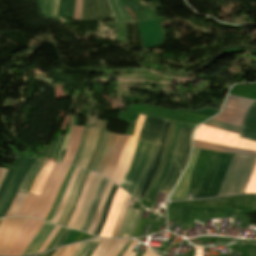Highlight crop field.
I'll return each instance as SVG.
<instances>
[{
  "label": "crop field",
  "instance_id": "crop-field-3",
  "mask_svg": "<svg viewBox=\"0 0 256 256\" xmlns=\"http://www.w3.org/2000/svg\"><path fill=\"white\" fill-rule=\"evenodd\" d=\"M170 122L171 121L148 117V116H146L145 118L144 125L142 127V131L138 140L148 141L152 143H159V147H158L156 159L154 161L153 169L138 195L141 198H143L145 191L157 170L163 144L165 141V137H166Z\"/></svg>",
  "mask_w": 256,
  "mask_h": 256
},
{
  "label": "crop field",
  "instance_id": "crop-field-23",
  "mask_svg": "<svg viewBox=\"0 0 256 256\" xmlns=\"http://www.w3.org/2000/svg\"><path fill=\"white\" fill-rule=\"evenodd\" d=\"M78 171H79V169L76 168L74 173H73V175H72V177H71V179H70V181H69V184H68V186H67V188L65 190L64 197H63V199L61 201V204H60V206H59V208H58V210H57V212H56V214H55V216H54V218L52 220V223H54V224L56 223L57 219L59 218V216L61 214V211H62V209H63V207L65 205L66 199L68 197V194L70 192V189H71V187L73 185V182L75 180V177H76Z\"/></svg>",
  "mask_w": 256,
  "mask_h": 256
},
{
  "label": "crop field",
  "instance_id": "crop-field-14",
  "mask_svg": "<svg viewBox=\"0 0 256 256\" xmlns=\"http://www.w3.org/2000/svg\"><path fill=\"white\" fill-rule=\"evenodd\" d=\"M54 228V225H50L45 223L39 233L35 236L33 241L30 243L28 248L26 249L24 255L37 253L38 249L40 248L41 244L44 242V240L47 238L51 230Z\"/></svg>",
  "mask_w": 256,
  "mask_h": 256
},
{
  "label": "crop field",
  "instance_id": "crop-field-12",
  "mask_svg": "<svg viewBox=\"0 0 256 256\" xmlns=\"http://www.w3.org/2000/svg\"><path fill=\"white\" fill-rule=\"evenodd\" d=\"M232 156L233 155H228V154L223 155V158L221 160L218 171H217L214 179L212 180L205 197H211V196H216L217 195V192L220 188V185L222 183V180L224 178V175L226 173V170L228 168V165L230 163V160H231Z\"/></svg>",
  "mask_w": 256,
  "mask_h": 256
},
{
  "label": "crop field",
  "instance_id": "crop-field-52",
  "mask_svg": "<svg viewBox=\"0 0 256 256\" xmlns=\"http://www.w3.org/2000/svg\"><path fill=\"white\" fill-rule=\"evenodd\" d=\"M88 242V241H87ZM87 242L82 243V245L79 247V249L75 252L73 256H78L79 253L83 250V248L86 246Z\"/></svg>",
  "mask_w": 256,
  "mask_h": 256
},
{
  "label": "crop field",
  "instance_id": "crop-field-36",
  "mask_svg": "<svg viewBox=\"0 0 256 256\" xmlns=\"http://www.w3.org/2000/svg\"><path fill=\"white\" fill-rule=\"evenodd\" d=\"M138 210L133 209L122 237H127Z\"/></svg>",
  "mask_w": 256,
  "mask_h": 256
},
{
  "label": "crop field",
  "instance_id": "crop-field-21",
  "mask_svg": "<svg viewBox=\"0 0 256 256\" xmlns=\"http://www.w3.org/2000/svg\"><path fill=\"white\" fill-rule=\"evenodd\" d=\"M75 0H60L57 16L72 18Z\"/></svg>",
  "mask_w": 256,
  "mask_h": 256
},
{
  "label": "crop field",
  "instance_id": "crop-field-55",
  "mask_svg": "<svg viewBox=\"0 0 256 256\" xmlns=\"http://www.w3.org/2000/svg\"><path fill=\"white\" fill-rule=\"evenodd\" d=\"M55 251H56V250H53V251L48 252L47 256H52Z\"/></svg>",
  "mask_w": 256,
  "mask_h": 256
},
{
  "label": "crop field",
  "instance_id": "crop-field-49",
  "mask_svg": "<svg viewBox=\"0 0 256 256\" xmlns=\"http://www.w3.org/2000/svg\"><path fill=\"white\" fill-rule=\"evenodd\" d=\"M94 240L89 241V243L87 244V246L84 248V250L80 253L79 256H84L85 253L87 252V250L90 248V246L93 244Z\"/></svg>",
  "mask_w": 256,
  "mask_h": 256
},
{
  "label": "crop field",
  "instance_id": "crop-field-30",
  "mask_svg": "<svg viewBox=\"0 0 256 256\" xmlns=\"http://www.w3.org/2000/svg\"><path fill=\"white\" fill-rule=\"evenodd\" d=\"M99 17L112 14L107 0H97Z\"/></svg>",
  "mask_w": 256,
  "mask_h": 256
},
{
  "label": "crop field",
  "instance_id": "crop-field-32",
  "mask_svg": "<svg viewBox=\"0 0 256 256\" xmlns=\"http://www.w3.org/2000/svg\"><path fill=\"white\" fill-rule=\"evenodd\" d=\"M87 131H88V129H85V128H84L80 146H79L78 151H77V153H76V156H75V158H74V160H73V162H72V164H71V165H73V166L76 165V163H77V161H78V159H79V157H80V155H81V153H82Z\"/></svg>",
  "mask_w": 256,
  "mask_h": 256
},
{
  "label": "crop field",
  "instance_id": "crop-field-48",
  "mask_svg": "<svg viewBox=\"0 0 256 256\" xmlns=\"http://www.w3.org/2000/svg\"><path fill=\"white\" fill-rule=\"evenodd\" d=\"M105 242H106V240H101L99 245H98V247H97V249L93 252V254L91 256H96Z\"/></svg>",
  "mask_w": 256,
  "mask_h": 256
},
{
  "label": "crop field",
  "instance_id": "crop-field-20",
  "mask_svg": "<svg viewBox=\"0 0 256 256\" xmlns=\"http://www.w3.org/2000/svg\"><path fill=\"white\" fill-rule=\"evenodd\" d=\"M88 174H89V171L86 170V171L84 172L82 178H81V181H80V183H79V185H78V188H77V191H76V193H75L73 202H72V204H71L70 210H69V212H68L66 218L64 219V221H63V223H62V226H65V227L67 226V224H68V222H69V220H70V218H71V216H72V213H73V211H74V208H75V206H76V203H77V201H78L79 195H80V193H81L82 186H83V184H84V182H85V180H86Z\"/></svg>",
  "mask_w": 256,
  "mask_h": 256
},
{
  "label": "crop field",
  "instance_id": "crop-field-27",
  "mask_svg": "<svg viewBox=\"0 0 256 256\" xmlns=\"http://www.w3.org/2000/svg\"><path fill=\"white\" fill-rule=\"evenodd\" d=\"M112 184H113V183L109 180V182H108V184H107V186H106V188H105V192H104V195H103V197H102V200H101L99 209H98V211H97L95 220H94V222L92 223V226H91V228H90V230H89V232H88V233H90V234L93 233V231H94V229H95V227H96V225H97V222H98V219H99V217H100V214H101L103 205H104V203H105L106 197H107V195H108V192H109V190H110Z\"/></svg>",
  "mask_w": 256,
  "mask_h": 256
},
{
  "label": "crop field",
  "instance_id": "crop-field-47",
  "mask_svg": "<svg viewBox=\"0 0 256 256\" xmlns=\"http://www.w3.org/2000/svg\"><path fill=\"white\" fill-rule=\"evenodd\" d=\"M73 170H74V168H73ZM73 170H72V172H73ZM72 172H71V174H72ZM71 174H70V176H71ZM70 176H69V178H70ZM69 178H68V180H69ZM68 180H67V182H68ZM67 182H66V184H65V186H64V188H63V190H62V192H61L60 198H59L58 203H57V205H56V207H55V209H54V211H53V213H52V215H51V217H50V219H49V222L51 221V219H52V217H53V215H54V212H55V210H56V208H57V206H58V204H59V202H60V200H61V197H62L63 192H64V190H65V187H66V185H67Z\"/></svg>",
  "mask_w": 256,
  "mask_h": 256
},
{
  "label": "crop field",
  "instance_id": "crop-field-19",
  "mask_svg": "<svg viewBox=\"0 0 256 256\" xmlns=\"http://www.w3.org/2000/svg\"><path fill=\"white\" fill-rule=\"evenodd\" d=\"M117 188L118 187L116 185H113V187H112V189H111V191H110V193L107 197L106 203L104 205V210H103V213L101 215V220H100V222H99V224H98V226H97V228L94 232V235H96V236H99V234H100V232L103 228V225H104L106 217H107L108 209L110 207L111 200H112L113 195H114Z\"/></svg>",
  "mask_w": 256,
  "mask_h": 256
},
{
  "label": "crop field",
  "instance_id": "crop-field-7",
  "mask_svg": "<svg viewBox=\"0 0 256 256\" xmlns=\"http://www.w3.org/2000/svg\"><path fill=\"white\" fill-rule=\"evenodd\" d=\"M240 138L256 142V104L247 110L240 131Z\"/></svg>",
  "mask_w": 256,
  "mask_h": 256
},
{
  "label": "crop field",
  "instance_id": "crop-field-50",
  "mask_svg": "<svg viewBox=\"0 0 256 256\" xmlns=\"http://www.w3.org/2000/svg\"><path fill=\"white\" fill-rule=\"evenodd\" d=\"M131 242V240H127L124 247L122 248V250L120 251V253L117 256H122V254L124 253V251L127 249L129 243ZM131 244V243H130Z\"/></svg>",
  "mask_w": 256,
  "mask_h": 256
},
{
  "label": "crop field",
  "instance_id": "crop-field-31",
  "mask_svg": "<svg viewBox=\"0 0 256 256\" xmlns=\"http://www.w3.org/2000/svg\"><path fill=\"white\" fill-rule=\"evenodd\" d=\"M109 134H110V133H107V132H106L105 135H104V140H103V144H102V146H101L100 153H99V155H98V157H97V160H96V162H95V164H94V166H93V168H92V171H94V172H96V170H97V168H98V166H99V164H100L101 158H102V156H103V154H104V152H105Z\"/></svg>",
  "mask_w": 256,
  "mask_h": 256
},
{
  "label": "crop field",
  "instance_id": "crop-field-45",
  "mask_svg": "<svg viewBox=\"0 0 256 256\" xmlns=\"http://www.w3.org/2000/svg\"><path fill=\"white\" fill-rule=\"evenodd\" d=\"M112 240H107V242L105 243V245L102 247L101 251L99 252V254L97 256H103L104 253L107 251V249L109 248L110 244H111Z\"/></svg>",
  "mask_w": 256,
  "mask_h": 256
},
{
  "label": "crop field",
  "instance_id": "crop-field-29",
  "mask_svg": "<svg viewBox=\"0 0 256 256\" xmlns=\"http://www.w3.org/2000/svg\"><path fill=\"white\" fill-rule=\"evenodd\" d=\"M204 125H208V126L219 128V129L228 130V131L235 132V133H238V134H239V131H240L239 127H235V126H232V125L220 123V122L213 121V120H210V121L206 122Z\"/></svg>",
  "mask_w": 256,
  "mask_h": 256
},
{
  "label": "crop field",
  "instance_id": "crop-field-9",
  "mask_svg": "<svg viewBox=\"0 0 256 256\" xmlns=\"http://www.w3.org/2000/svg\"><path fill=\"white\" fill-rule=\"evenodd\" d=\"M101 121L97 120V126L96 127H91L88 131L85 146L83 153L81 155V158L77 164L79 167L85 168L86 165L88 164L91 154L93 152V149L95 147L99 127H100Z\"/></svg>",
  "mask_w": 256,
  "mask_h": 256
},
{
  "label": "crop field",
  "instance_id": "crop-field-25",
  "mask_svg": "<svg viewBox=\"0 0 256 256\" xmlns=\"http://www.w3.org/2000/svg\"><path fill=\"white\" fill-rule=\"evenodd\" d=\"M106 123H107V121H103L102 122V125H101V128H100V133H99V138H98L97 144H96V148H95V150H94V152L92 154V158H91V160H90V162H89V164H88V166L86 168L88 170H91V168H92V166H93V164L95 162L96 156H97V154L99 152L100 146L102 144L103 134H104V131L106 129Z\"/></svg>",
  "mask_w": 256,
  "mask_h": 256
},
{
  "label": "crop field",
  "instance_id": "crop-field-42",
  "mask_svg": "<svg viewBox=\"0 0 256 256\" xmlns=\"http://www.w3.org/2000/svg\"><path fill=\"white\" fill-rule=\"evenodd\" d=\"M64 231H65V228L61 227V229L59 230L57 235L54 237V239L51 241V243L48 245L46 250L53 248V246L56 244V242L58 241V239L60 238V236L63 234Z\"/></svg>",
  "mask_w": 256,
  "mask_h": 256
},
{
  "label": "crop field",
  "instance_id": "crop-field-6",
  "mask_svg": "<svg viewBox=\"0 0 256 256\" xmlns=\"http://www.w3.org/2000/svg\"><path fill=\"white\" fill-rule=\"evenodd\" d=\"M191 132L192 129L182 128L175 150L174 158L181 171L188 160L191 146Z\"/></svg>",
  "mask_w": 256,
  "mask_h": 256
},
{
  "label": "crop field",
  "instance_id": "crop-field-40",
  "mask_svg": "<svg viewBox=\"0 0 256 256\" xmlns=\"http://www.w3.org/2000/svg\"><path fill=\"white\" fill-rule=\"evenodd\" d=\"M181 126H182V124L178 123L177 126H176V129H175V133H174V137H173V141H172V145H171V149H172L173 154H174V150H175V147H176V143H177V140H178V136H179Z\"/></svg>",
  "mask_w": 256,
  "mask_h": 256
},
{
  "label": "crop field",
  "instance_id": "crop-field-11",
  "mask_svg": "<svg viewBox=\"0 0 256 256\" xmlns=\"http://www.w3.org/2000/svg\"><path fill=\"white\" fill-rule=\"evenodd\" d=\"M198 151H199V149H197V148L193 149L191 161H190L184 175L182 176L178 186L176 187V189L171 197V200L186 198L188 186H189V182H190L191 170L194 166L196 155H197Z\"/></svg>",
  "mask_w": 256,
  "mask_h": 256
},
{
  "label": "crop field",
  "instance_id": "crop-field-38",
  "mask_svg": "<svg viewBox=\"0 0 256 256\" xmlns=\"http://www.w3.org/2000/svg\"><path fill=\"white\" fill-rule=\"evenodd\" d=\"M116 5L118 6L123 18L125 21H133L128 12L124 9V7L120 4L119 0H114Z\"/></svg>",
  "mask_w": 256,
  "mask_h": 256
},
{
  "label": "crop field",
  "instance_id": "crop-field-26",
  "mask_svg": "<svg viewBox=\"0 0 256 256\" xmlns=\"http://www.w3.org/2000/svg\"><path fill=\"white\" fill-rule=\"evenodd\" d=\"M59 0H43V14L56 17Z\"/></svg>",
  "mask_w": 256,
  "mask_h": 256
},
{
  "label": "crop field",
  "instance_id": "crop-field-57",
  "mask_svg": "<svg viewBox=\"0 0 256 256\" xmlns=\"http://www.w3.org/2000/svg\"><path fill=\"white\" fill-rule=\"evenodd\" d=\"M47 253H44V254H42V255H40V256H45Z\"/></svg>",
  "mask_w": 256,
  "mask_h": 256
},
{
  "label": "crop field",
  "instance_id": "crop-field-2",
  "mask_svg": "<svg viewBox=\"0 0 256 256\" xmlns=\"http://www.w3.org/2000/svg\"><path fill=\"white\" fill-rule=\"evenodd\" d=\"M256 165V157L234 154L217 196L243 193Z\"/></svg>",
  "mask_w": 256,
  "mask_h": 256
},
{
  "label": "crop field",
  "instance_id": "crop-field-13",
  "mask_svg": "<svg viewBox=\"0 0 256 256\" xmlns=\"http://www.w3.org/2000/svg\"><path fill=\"white\" fill-rule=\"evenodd\" d=\"M175 125H176V122H171V125H170V128H169V132H168V136H167V140H166V144H165V148H164V152L162 154V158H161V162H160V166L145 194V197L144 199L147 200L152 188L154 187L157 179L159 178L161 172H162V169L164 167V164H165V160H166V157H167V153H168V149H169V146H170V143L172 141V135H173V132H174V128H175Z\"/></svg>",
  "mask_w": 256,
  "mask_h": 256
},
{
  "label": "crop field",
  "instance_id": "crop-field-28",
  "mask_svg": "<svg viewBox=\"0 0 256 256\" xmlns=\"http://www.w3.org/2000/svg\"><path fill=\"white\" fill-rule=\"evenodd\" d=\"M83 171H84V170L81 169V171H80V173H79V175H78V177H77V179H76V181H75V183H74V185H73V187H72L71 193H70L69 198H68V201H67V203H66V206H65V208H64V210H63V212H62V214H61V216H60V218H59V220H58V222H57L58 225L61 224V222H62L64 216L66 215V213H67V211H68V209H69V207H70V203H71L73 194H74V192H75V190H76V187H77V185H78V183H79V180H80V178H81V175H82Z\"/></svg>",
  "mask_w": 256,
  "mask_h": 256
},
{
  "label": "crop field",
  "instance_id": "crop-field-15",
  "mask_svg": "<svg viewBox=\"0 0 256 256\" xmlns=\"http://www.w3.org/2000/svg\"><path fill=\"white\" fill-rule=\"evenodd\" d=\"M100 177H101L100 175H97V174L95 175V177H94V179H93V181H92V183H91V185L89 187L87 195L85 197V200L83 202L81 210L79 212L77 221H76L75 225L73 226V229H77V230L79 229V227H80V225H81V223H82V221H83V219H84V217L86 215V212H87L88 207H89V203L91 201V198L93 196V193H94L95 188H96V186H97V184L99 182Z\"/></svg>",
  "mask_w": 256,
  "mask_h": 256
},
{
  "label": "crop field",
  "instance_id": "crop-field-16",
  "mask_svg": "<svg viewBox=\"0 0 256 256\" xmlns=\"http://www.w3.org/2000/svg\"><path fill=\"white\" fill-rule=\"evenodd\" d=\"M180 174L181 173H180V171H179L178 167L176 166V164L174 162V159H173L170 171H169L168 175L166 176V178H165V180H164L160 189L170 191L173 184L175 183V181L180 176Z\"/></svg>",
  "mask_w": 256,
  "mask_h": 256
},
{
  "label": "crop field",
  "instance_id": "crop-field-54",
  "mask_svg": "<svg viewBox=\"0 0 256 256\" xmlns=\"http://www.w3.org/2000/svg\"><path fill=\"white\" fill-rule=\"evenodd\" d=\"M64 248L58 249L57 252L54 254V256H58L63 251Z\"/></svg>",
  "mask_w": 256,
  "mask_h": 256
},
{
  "label": "crop field",
  "instance_id": "crop-field-4",
  "mask_svg": "<svg viewBox=\"0 0 256 256\" xmlns=\"http://www.w3.org/2000/svg\"><path fill=\"white\" fill-rule=\"evenodd\" d=\"M34 160L25 158L19 165L18 169L14 173L10 180L1 200H0V218L4 217L23 177L25 176L30 164ZM17 194V193H16ZM16 196V195H15Z\"/></svg>",
  "mask_w": 256,
  "mask_h": 256
},
{
  "label": "crop field",
  "instance_id": "crop-field-53",
  "mask_svg": "<svg viewBox=\"0 0 256 256\" xmlns=\"http://www.w3.org/2000/svg\"><path fill=\"white\" fill-rule=\"evenodd\" d=\"M144 256H156L154 253H152L150 250H149V248H148V250H147V252L145 253V255Z\"/></svg>",
  "mask_w": 256,
  "mask_h": 256
},
{
  "label": "crop field",
  "instance_id": "crop-field-8",
  "mask_svg": "<svg viewBox=\"0 0 256 256\" xmlns=\"http://www.w3.org/2000/svg\"><path fill=\"white\" fill-rule=\"evenodd\" d=\"M222 155L223 154H221V153H215V152L212 153L211 159H210L208 167H207L205 177L200 185V188H199L195 198L205 196L208 186L217 171V168L220 163Z\"/></svg>",
  "mask_w": 256,
  "mask_h": 256
},
{
  "label": "crop field",
  "instance_id": "crop-field-33",
  "mask_svg": "<svg viewBox=\"0 0 256 256\" xmlns=\"http://www.w3.org/2000/svg\"><path fill=\"white\" fill-rule=\"evenodd\" d=\"M132 208L130 207H127L126 211H125V214L123 216V219H122V222H121V225H120V228H119V231H118V234L116 237H121L122 236V233L124 231V228H125V225H126V222L128 220V217L130 215V212H131Z\"/></svg>",
  "mask_w": 256,
  "mask_h": 256
},
{
  "label": "crop field",
  "instance_id": "crop-field-46",
  "mask_svg": "<svg viewBox=\"0 0 256 256\" xmlns=\"http://www.w3.org/2000/svg\"><path fill=\"white\" fill-rule=\"evenodd\" d=\"M69 232H70V230L66 229L65 233L63 234V236L60 238V240L57 242V244L54 247L62 245L63 241L65 240V238L67 237Z\"/></svg>",
  "mask_w": 256,
  "mask_h": 256
},
{
  "label": "crop field",
  "instance_id": "crop-field-44",
  "mask_svg": "<svg viewBox=\"0 0 256 256\" xmlns=\"http://www.w3.org/2000/svg\"><path fill=\"white\" fill-rule=\"evenodd\" d=\"M126 240H120V242L117 244L116 248L114 249V251L112 252V254L110 256H116L119 251L121 250V248L123 247L124 243Z\"/></svg>",
  "mask_w": 256,
  "mask_h": 256
},
{
  "label": "crop field",
  "instance_id": "crop-field-10",
  "mask_svg": "<svg viewBox=\"0 0 256 256\" xmlns=\"http://www.w3.org/2000/svg\"><path fill=\"white\" fill-rule=\"evenodd\" d=\"M108 180L109 179L102 176V178H101V180H100V182H99V184L96 188V191H95V194H94V197H93L88 215L86 217V220H85L84 224L82 225V227L80 228L81 231L88 232V229H89V227H90V225L93 221V218H94L95 213H96V209L98 207V204L100 202V199L102 197L104 188H105Z\"/></svg>",
  "mask_w": 256,
  "mask_h": 256
},
{
  "label": "crop field",
  "instance_id": "crop-field-35",
  "mask_svg": "<svg viewBox=\"0 0 256 256\" xmlns=\"http://www.w3.org/2000/svg\"><path fill=\"white\" fill-rule=\"evenodd\" d=\"M144 209L145 208L140 207L139 212L137 214V217L135 219L134 225H133L132 230H131V232H130L128 237H133L134 236V234L136 232V229H137V227L139 225V222H140V219H141V216H142V213H143Z\"/></svg>",
  "mask_w": 256,
  "mask_h": 256
},
{
  "label": "crop field",
  "instance_id": "crop-field-17",
  "mask_svg": "<svg viewBox=\"0 0 256 256\" xmlns=\"http://www.w3.org/2000/svg\"><path fill=\"white\" fill-rule=\"evenodd\" d=\"M97 16V5L95 0H83L81 19H94Z\"/></svg>",
  "mask_w": 256,
  "mask_h": 256
},
{
  "label": "crop field",
  "instance_id": "crop-field-39",
  "mask_svg": "<svg viewBox=\"0 0 256 256\" xmlns=\"http://www.w3.org/2000/svg\"><path fill=\"white\" fill-rule=\"evenodd\" d=\"M81 5H82V0H76L75 4V10H74V20H80V14H81Z\"/></svg>",
  "mask_w": 256,
  "mask_h": 256
},
{
  "label": "crop field",
  "instance_id": "crop-field-1",
  "mask_svg": "<svg viewBox=\"0 0 256 256\" xmlns=\"http://www.w3.org/2000/svg\"><path fill=\"white\" fill-rule=\"evenodd\" d=\"M157 146H158V144H154V150L152 152V157L150 160V164L147 168V171H146L141 183L137 187L134 195H132L139 180L141 179V177L147 167V164L150 159L152 147H153V144H151V143H145V142H140V141L137 142L135 154H134V158L131 163V166H130L127 174L125 175L123 181L120 184V187L123 188L127 193H129L134 198H136L137 194L139 193L141 187L143 186V184L149 174L150 169L152 168L153 161L155 159Z\"/></svg>",
  "mask_w": 256,
  "mask_h": 256
},
{
  "label": "crop field",
  "instance_id": "crop-field-22",
  "mask_svg": "<svg viewBox=\"0 0 256 256\" xmlns=\"http://www.w3.org/2000/svg\"><path fill=\"white\" fill-rule=\"evenodd\" d=\"M115 138H116V134H110L109 136V141H108V146H107V149H106V153L104 155V158L97 170V173H100L102 174V172L104 171L108 161H109V158H110V155L113 151V146H114V142H115Z\"/></svg>",
  "mask_w": 256,
  "mask_h": 256
},
{
  "label": "crop field",
  "instance_id": "crop-field-41",
  "mask_svg": "<svg viewBox=\"0 0 256 256\" xmlns=\"http://www.w3.org/2000/svg\"><path fill=\"white\" fill-rule=\"evenodd\" d=\"M72 120H73V118H71L69 134H67V136H66V138H65V140H64V143H63L61 149L59 150V156H58V159H57V161H56V162H58V163H60V152H61L62 150H65L66 147H67V145H68V141H69V137H70V132H71V126H72Z\"/></svg>",
  "mask_w": 256,
  "mask_h": 256
},
{
  "label": "crop field",
  "instance_id": "crop-field-5",
  "mask_svg": "<svg viewBox=\"0 0 256 256\" xmlns=\"http://www.w3.org/2000/svg\"><path fill=\"white\" fill-rule=\"evenodd\" d=\"M25 218L5 219L0 222V255H3L9 244L22 226Z\"/></svg>",
  "mask_w": 256,
  "mask_h": 256
},
{
  "label": "crop field",
  "instance_id": "crop-field-56",
  "mask_svg": "<svg viewBox=\"0 0 256 256\" xmlns=\"http://www.w3.org/2000/svg\"><path fill=\"white\" fill-rule=\"evenodd\" d=\"M136 253L135 252H132L129 256H135Z\"/></svg>",
  "mask_w": 256,
  "mask_h": 256
},
{
  "label": "crop field",
  "instance_id": "crop-field-43",
  "mask_svg": "<svg viewBox=\"0 0 256 256\" xmlns=\"http://www.w3.org/2000/svg\"><path fill=\"white\" fill-rule=\"evenodd\" d=\"M109 1H110V4H111V7H112V9H113V13H114L115 20L123 21L121 15H120L119 10L117 9V7H116L115 4H114V1H113V0H109Z\"/></svg>",
  "mask_w": 256,
  "mask_h": 256
},
{
  "label": "crop field",
  "instance_id": "crop-field-51",
  "mask_svg": "<svg viewBox=\"0 0 256 256\" xmlns=\"http://www.w3.org/2000/svg\"><path fill=\"white\" fill-rule=\"evenodd\" d=\"M99 240L94 242V244L91 246V248L89 249V251L87 252L86 256H90L91 253L93 252V250L95 249V247L97 246Z\"/></svg>",
  "mask_w": 256,
  "mask_h": 256
},
{
  "label": "crop field",
  "instance_id": "crop-field-18",
  "mask_svg": "<svg viewBox=\"0 0 256 256\" xmlns=\"http://www.w3.org/2000/svg\"><path fill=\"white\" fill-rule=\"evenodd\" d=\"M38 161H39V160H35L34 163L31 165V167H30L28 173L26 174V176H25L23 182L21 183V185H20L18 191L25 192V193L28 192V190H29V188H30V186H31V184H32V182H33V180H34V178L36 177V175H37L38 171L40 170L41 166L43 165V163L45 162V161H41V162L39 163L38 167L36 168V170L34 171V173L32 174V172H33V170L35 169V167H36ZM31 174H32V176L30 177ZM29 177H30V179H29ZM28 179H29V180H28ZM27 180H28V182H27V184H26L24 190L22 191V189H23V187H24V185H25V183H26Z\"/></svg>",
  "mask_w": 256,
  "mask_h": 256
},
{
  "label": "crop field",
  "instance_id": "crop-field-37",
  "mask_svg": "<svg viewBox=\"0 0 256 256\" xmlns=\"http://www.w3.org/2000/svg\"><path fill=\"white\" fill-rule=\"evenodd\" d=\"M14 171H15V168H10L9 169V171H8V173H7L5 179H4V181H3V183H2V185L0 187V198H1V196H2V194L4 192V190H5V188H6L7 184H8V182H9L12 174L14 173Z\"/></svg>",
  "mask_w": 256,
  "mask_h": 256
},
{
  "label": "crop field",
  "instance_id": "crop-field-24",
  "mask_svg": "<svg viewBox=\"0 0 256 256\" xmlns=\"http://www.w3.org/2000/svg\"><path fill=\"white\" fill-rule=\"evenodd\" d=\"M171 160H172V155H171V151L169 150V154H168V157H167V160H166L165 168H164L160 178L158 179V181H157V183H156L148 201H150V202L153 201V199H154V197H155V195H156V193H157V191H158V189H159V187H160V185H161V183H162V181H163V179H164V177H165V175L168 171Z\"/></svg>",
  "mask_w": 256,
  "mask_h": 256
},
{
  "label": "crop field",
  "instance_id": "crop-field-34",
  "mask_svg": "<svg viewBox=\"0 0 256 256\" xmlns=\"http://www.w3.org/2000/svg\"><path fill=\"white\" fill-rule=\"evenodd\" d=\"M53 166H54L53 163H50V164H49V166L47 167V169H46V171H45V173H44V175H43V177H42V179H41V181H40V183H39V185H38V187H37V189H36V191H35L34 194H37V195L40 194L42 185H43V183H44L46 177L48 176V174L51 172Z\"/></svg>",
  "mask_w": 256,
  "mask_h": 256
}]
</instances>
